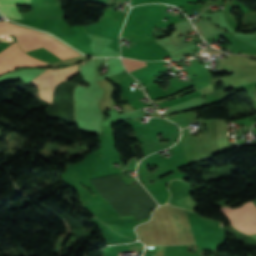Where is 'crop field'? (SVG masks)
Segmentation results:
<instances>
[{
	"label": "crop field",
	"instance_id": "5",
	"mask_svg": "<svg viewBox=\"0 0 256 256\" xmlns=\"http://www.w3.org/2000/svg\"><path fill=\"white\" fill-rule=\"evenodd\" d=\"M30 3V0H0L1 12L13 19H22L18 13L16 4Z\"/></svg>",
	"mask_w": 256,
	"mask_h": 256
},
{
	"label": "crop field",
	"instance_id": "6",
	"mask_svg": "<svg viewBox=\"0 0 256 256\" xmlns=\"http://www.w3.org/2000/svg\"><path fill=\"white\" fill-rule=\"evenodd\" d=\"M177 203L180 207H184L192 210L198 207L189 195L177 200Z\"/></svg>",
	"mask_w": 256,
	"mask_h": 256
},
{
	"label": "crop field",
	"instance_id": "1",
	"mask_svg": "<svg viewBox=\"0 0 256 256\" xmlns=\"http://www.w3.org/2000/svg\"><path fill=\"white\" fill-rule=\"evenodd\" d=\"M1 34H15L23 50L42 46L62 59L81 55L49 35L19 27L10 22H0Z\"/></svg>",
	"mask_w": 256,
	"mask_h": 256
},
{
	"label": "crop field",
	"instance_id": "2",
	"mask_svg": "<svg viewBox=\"0 0 256 256\" xmlns=\"http://www.w3.org/2000/svg\"><path fill=\"white\" fill-rule=\"evenodd\" d=\"M79 65L63 69H47L28 83L40 89L36 93L37 96L51 103L53 88L63 80H68L77 74Z\"/></svg>",
	"mask_w": 256,
	"mask_h": 256
},
{
	"label": "crop field",
	"instance_id": "7",
	"mask_svg": "<svg viewBox=\"0 0 256 256\" xmlns=\"http://www.w3.org/2000/svg\"><path fill=\"white\" fill-rule=\"evenodd\" d=\"M123 63L125 64V66L129 72L146 65L145 62H138V61H134L131 59H123Z\"/></svg>",
	"mask_w": 256,
	"mask_h": 256
},
{
	"label": "crop field",
	"instance_id": "4",
	"mask_svg": "<svg viewBox=\"0 0 256 256\" xmlns=\"http://www.w3.org/2000/svg\"><path fill=\"white\" fill-rule=\"evenodd\" d=\"M43 64L47 63L27 56L18 48L17 44L0 53V74L20 66H39Z\"/></svg>",
	"mask_w": 256,
	"mask_h": 256
},
{
	"label": "crop field",
	"instance_id": "3",
	"mask_svg": "<svg viewBox=\"0 0 256 256\" xmlns=\"http://www.w3.org/2000/svg\"><path fill=\"white\" fill-rule=\"evenodd\" d=\"M224 212L231 220V224L236 226L238 229L248 233H256V204L248 202L242 206L233 209H220Z\"/></svg>",
	"mask_w": 256,
	"mask_h": 256
},
{
	"label": "crop field",
	"instance_id": "8",
	"mask_svg": "<svg viewBox=\"0 0 256 256\" xmlns=\"http://www.w3.org/2000/svg\"><path fill=\"white\" fill-rule=\"evenodd\" d=\"M166 246H156L155 256H164Z\"/></svg>",
	"mask_w": 256,
	"mask_h": 256
}]
</instances>
